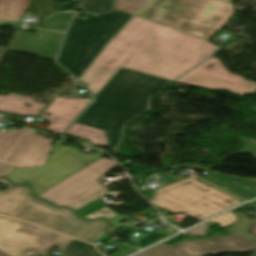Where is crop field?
<instances>
[{
    "instance_id": "crop-field-16",
    "label": "crop field",
    "mask_w": 256,
    "mask_h": 256,
    "mask_svg": "<svg viewBox=\"0 0 256 256\" xmlns=\"http://www.w3.org/2000/svg\"><path fill=\"white\" fill-rule=\"evenodd\" d=\"M27 103L30 107L25 106ZM44 104L34 102L32 98L9 93L7 97L0 96V111L19 116H27L28 114L37 116L44 108ZM37 110H40L37 112Z\"/></svg>"
},
{
    "instance_id": "crop-field-8",
    "label": "crop field",
    "mask_w": 256,
    "mask_h": 256,
    "mask_svg": "<svg viewBox=\"0 0 256 256\" xmlns=\"http://www.w3.org/2000/svg\"><path fill=\"white\" fill-rule=\"evenodd\" d=\"M115 165L117 164L111 160L100 158L37 197L55 205L66 204L76 210L107 193L96 180Z\"/></svg>"
},
{
    "instance_id": "crop-field-18",
    "label": "crop field",
    "mask_w": 256,
    "mask_h": 256,
    "mask_svg": "<svg viewBox=\"0 0 256 256\" xmlns=\"http://www.w3.org/2000/svg\"><path fill=\"white\" fill-rule=\"evenodd\" d=\"M66 134L88 139L92 144L107 146L104 131L74 123Z\"/></svg>"
},
{
    "instance_id": "crop-field-28",
    "label": "crop field",
    "mask_w": 256,
    "mask_h": 256,
    "mask_svg": "<svg viewBox=\"0 0 256 256\" xmlns=\"http://www.w3.org/2000/svg\"><path fill=\"white\" fill-rule=\"evenodd\" d=\"M15 167H11L5 164L0 163V176H5L8 174L10 171H12Z\"/></svg>"
},
{
    "instance_id": "crop-field-14",
    "label": "crop field",
    "mask_w": 256,
    "mask_h": 256,
    "mask_svg": "<svg viewBox=\"0 0 256 256\" xmlns=\"http://www.w3.org/2000/svg\"><path fill=\"white\" fill-rule=\"evenodd\" d=\"M90 100L56 96L40 116L51 122L46 130L61 134ZM46 113H50V115H46ZM54 117L59 118L54 119Z\"/></svg>"
},
{
    "instance_id": "crop-field-17",
    "label": "crop field",
    "mask_w": 256,
    "mask_h": 256,
    "mask_svg": "<svg viewBox=\"0 0 256 256\" xmlns=\"http://www.w3.org/2000/svg\"><path fill=\"white\" fill-rule=\"evenodd\" d=\"M31 0H0V22L20 20Z\"/></svg>"
},
{
    "instance_id": "crop-field-31",
    "label": "crop field",
    "mask_w": 256,
    "mask_h": 256,
    "mask_svg": "<svg viewBox=\"0 0 256 256\" xmlns=\"http://www.w3.org/2000/svg\"><path fill=\"white\" fill-rule=\"evenodd\" d=\"M252 94H256V90H255ZM250 111H252V112L256 113V107H255V108H253V109H251Z\"/></svg>"
},
{
    "instance_id": "crop-field-20",
    "label": "crop field",
    "mask_w": 256,
    "mask_h": 256,
    "mask_svg": "<svg viewBox=\"0 0 256 256\" xmlns=\"http://www.w3.org/2000/svg\"><path fill=\"white\" fill-rule=\"evenodd\" d=\"M63 256H102L93 245L73 239L60 250Z\"/></svg>"
},
{
    "instance_id": "crop-field-4",
    "label": "crop field",
    "mask_w": 256,
    "mask_h": 256,
    "mask_svg": "<svg viewBox=\"0 0 256 256\" xmlns=\"http://www.w3.org/2000/svg\"><path fill=\"white\" fill-rule=\"evenodd\" d=\"M233 14L232 4L217 0H150L138 16L209 40Z\"/></svg>"
},
{
    "instance_id": "crop-field-30",
    "label": "crop field",
    "mask_w": 256,
    "mask_h": 256,
    "mask_svg": "<svg viewBox=\"0 0 256 256\" xmlns=\"http://www.w3.org/2000/svg\"><path fill=\"white\" fill-rule=\"evenodd\" d=\"M0 256H12V255H10L8 253H5V252L0 250Z\"/></svg>"
},
{
    "instance_id": "crop-field-26",
    "label": "crop field",
    "mask_w": 256,
    "mask_h": 256,
    "mask_svg": "<svg viewBox=\"0 0 256 256\" xmlns=\"http://www.w3.org/2000/svg\"><path fill=\"white\" fill-rule=\"evenodd\" d=\"M236 220H237L236 215L231 212H228V213H225L219 217H216L208 222H217L222 227H226V226L232 224L233 222H235ZM208 222H206V223H208Z\"/></svg>"
},
{
    "instance_id": "crop-field-24",
    "label": "crop field",
    "mask_w": 256,
    "mask_h": 256,
    "mask_svg": "<svg viewBox=\"0 0 256 256\" xmlns=\"http://www.w3.org/2000/svg\"><path fill=\"white\" fill-rule=\"evenodd\" d=\"M240 142L245 144L243 148H241L238 153H244V154H249L256 158V141L243 137L241 139H238Z\"/></svg>"
},
{
    "instance_id": "crop-field-3",
    "label": "crop field",
    "mask_w": 256,
    "mask_h": 256,
    "mask_svg": "<svg viewBox=\"0 0 256 256\" xmlns=\"http://www.w3.org/2000/svg\"><path fill=\"white\" fill-rule=\"evenodd\" d=\"M9 187L0 192V214L8 215L39 224L57 232L92 243L106 227L103 221L83 222L66 208L57 209L32 198L30 190L12 186L7 180L0 179Z\"/></svg>"
},
{
    "instance_id": "crop-field-11",
    "label": "crop field",
    "mask_w": 256,
    "mask_h": 256,
    "mask_svg": "<svg viewBox=\"0 0 256 256\" xmlns=\"http://www.w3.org/2000/svg\"><path fill=\"white\" fill-rule=\"evenodd\" d=\"M175 82L209 89H225L240 95L249 94L256 89V83L245 81L241 77L230 74L215 57Z\"/></svg>"
},
{
    "instance_id": "crop-field-25",
    "label": "crop field",
    "mask_w": 256,
    "mask_h": 256,
    "mask_svg": "<svg viewBox=\"0 0 256 256\" xmlns=\"http://www.w3.org/2000/svg\"><path fill=\"white\" fill-rule=\"evenodd\" d=\"M171 245L160 243L146 251H143L135 256H160L162 255Z\"/></svg>"
},
{
    "instance_id": "crop-field-29",
    "label": "crop field",
    "mask_w": 256,
    "mask_h": 256,
    "mask_svg": "<svg viewBox=\"0 0 256 256\" xmlns=\"http://www.w3.org/2000/svg\"><path fill=\"white\" fill-rule=\"evenodd\" d=\"M198 181H200L202 183H205V182H203L201 180H198ZM205 184H207V183H205ZM207 185H209V184H207ZM209 186H211V185H209ZM211 187H213V186H211ZM213 188H215V187H213ZM215 189H217V188H215ZM217 190H219V189H217ZM219 191H221V190H219ZM221 192H223V191H221ZM223 193H225V192H223ZM225 194H227V193H225ZM227 195H229V194H227ZM229 196H231V195H229ZM231 197H233V196H231ZM233 198H235V197H233ZM235 199H237V198H235ZM237 200H239V199H237ZM239 201H241V200H239ZM241 202H243V201H241Z\"/></svg>"
},
{
    "instance_id": "crop-field-15",
    "label": "crop field",
    "mask_w": 256,
    "mask_h": 256,
    "mask_svg": "<svg viewBox=\"0 0 256 256\" xmlns=\"http://www.w3.org/2000/svg\"><path fill=\"white\" fill-rule=\"evenodd\" d=\"M178 167L196 169L212 173L211 175L202 179L222 189H224V187H227L228 189L224 190L232 193L233 195L241 199L248 200L256 197V181H253L251 179H240L233 176H222L219 175L217 172H212L214 169L212 167L195 165L187 162L182 163ZM235 181L238 183H234Z\"/></svg>"
},
{
    "instance_id": "crop-field-32",
    "label": "crop field",
    "mask_w": 256,
    "mask_h": 256,
    "mask_svg": "<svg viewBox=\"0 0 256 256\" xmlns=\"http://www.w3.org/2000/svg\"><path fill=\"white\" fill-rule=\"evenodd\" d=\"M222 1L230 2V0H222ZM230 3H231V2H230Z\"/></svg>"
},
{
    "instance_id": "crop-field-27",
    "label": "crop field",
    "mask_w": 256,
    "mask_h": 256,
    "mask_svg": "<svg viewBox=\"0 0 256 256\" xmlns=\"http://www.w3.org/2000/svg\"><path fill=\"white\" fill-rule=\"evenodd\" d=\"M207 226H208V224L204 223V224L186 232V234H188L190 236L202 237V236L206 235Z\"/></svg>"
},
{
    "instance_id": "crop-field-7",
    "label": "crop field",
    "mask_w": 256,
    "mask_h": 256,
    "mask_svg": "<svg viewBox=\"0 0 256 256\" xmlns=\"http://www.w3.org/2000/svg\"><path fill=\"white\" fill-rule=\"evenodd\" d=\"M102 153L99 151L95 155H88L78 151V149L63 146L49 156L44 167L26 170L16 168L5 177L10 179L13 184L32 188V194L37 196L84 167L81 164L82 161L86 159L95 160Z\"/></svg>"
},
{
    "instance_id": "crop-field-13",
    "label": "crop field",
    "mask_w": 256,
    "mask_h": 256,
    "mask_svg": "<svg viewBox=\"0 0 256 256\" xmlns=\"http://www.w3.org/2000/svg\"><path fill=\"white\" fill-rule=\"evenodd\" d=\"M39 31V33L36 32L39 39L15 31L7 50L31 53L44 59H54L64 34L47 30Z\"/></svg>"
},
{
    "instance_id": "crop-field-21",
    "label": "crop field",
    "mask_w": 256,
    "mask_h": 256,
    "mask_svg": "<svg viewBox=\"0 0 256 256\" xmlns=\"http://www.w3.org/2000/svg\"><path fill=\"white\" fill-rule=\"evenodd\" d=\"M115 0H83L81 10L103 13L113 9Z\"/></svg>"
},
{
    "instance_id": "crop-field-5",
    "label": "crop field",
    "mask_w": 256,
    "mask_h": 256,
    "mask_svg": "<svg viewBox=\"0 0 256 256\" xmlns=\"http://www.w3.org/2000/svg\"><path fill=\"white\" fill-rule=\"evenodd\" d=\"M85 15L87 20L73 19L57 58L58 63L77 78L111 37L132 17L116 10L97 17Z\"/></svg>"
},
{
    "instance_id": "crop-field-9",
    "label": "crop field",
    "mask_w": 256,
    "mask_h": 256,
    "mask_svg": "<svg viewBox=\"0 0 256 256\" xmlns=\"http://www.w3.org/2000/svg\"><path fill=\"white\" fill-rule=\"evenodd\" d=\"M71 238L49 230L0 216V249L14 256L27 252L45 255L55 245L61 248Z\"/></svg>"
},
{
    "instance_id": "crop-field-6",
    "label": "crop field",
    "mask_w": 256,
    "mask_h": 256,
    "mask_svg": "<svg viewBox=\"0 0 256 256\" xmlns=\"http://www.w3.org/2000/svg\"><path fill=\"white\" fill-rule=\"evenodd\" d=\"M152 203L203 220L241 202L187 177L156 190Z\"/></svg>"
},
{
    "instance_id": "crop-field-22",
    "label": "crop field",
    "mask_w": 256,
    "mask_h": 256,
    "mask_svg": "<svg viewBox=\"0 0 256 256\" xmlns=\"http://www.w3.org/2000/svg\"><path fill=\"white\" fill-rule=\"evenodd\" d=\"M73 14L70 13H59L49 19H45L42 22L41 28L65 31L68 23L67 19H71Z\"/></svg>"
},
{
    "instance_id": "crop-field-23",
    "label": "crop field",
    "mask_w": 256,
    "mask_h": 256,
    "mask_svg": "<svg viewBox=\"0 0 256 256\" xmlns=\"http://www.w3.org/2000/svg\"><path fill=\"white\" fill-rule=\"evenodd\" d=\"M147 0H117L115 8L123 12L135 14Z\"/></svg>"
},
{
    "instance_id": "crop-field-10",
    "label": "crop field",
    "mask_w": 256,
    "mask_h": 256,
    "mask_svg": "<svg viewBox=\"0 0 256 256\" xmlns=\"http://www.w3.org/2000/svg\"><path fill=\"white\" fill-rule=\"evenodd\" d=\"M34 133L23 128L0 131V162L20 169L44 166L53 141Z\"/></svg>"
},
{
    "instance_id": "crop-field-19",
    "label": "crop field",
    "mask_w": 256,
    "mask_h": 256,
    "mask_svg": "<svg viewBox=\"0 0 256 256\" xmlns=\"http://www.w3.org/2000/svg\"><path fill=\"white\" fill-rule=\"evenodd\" d=\"M76 211L80 213L82 219L89 220H92L96 217H104L106 219H110L117 214L95 200Z\"/></svg>"
},
{
    "instance_id": "crop-field-12",
    "label": "crop field",
    "mask_w": 256,
    "mask_h": 256,
    "mask_svg": "<svg viewBox=\"0 0 256 256\" xmlns=\"http://www.w3.org/2000/svg\"><path fill=\"white\" fill-rule=\"evenodd\" d=\"M226 243H230L226 246ZM256 242L234 236L213 237L205 240L184 241L172 245L162 256H203L206 252H248L255 250Z\"/></svg>"
},
{
    "instance_id": "crop-field-1",
    "label": "crop field",
    "mask_w": 256,
    "mask_h": 256,
    "mask_svg": "<svg viewBox=\"0 0 256 256\" xmlns=\"http://www.w3.org/2000/svg\"><path fill=\"white\" fill-rule=\"evenodd\" d=\"M217 46L181 30L135 16L80 81L95 96L122 67L174 80L208 58Z\"/></svg>"
},
{
    "instance_id": "crop-field-2",
    "label": "crop field",
    "mask_w": 256,
    "mask_h": 256,
    "mask_svg": "<svg viewBox=\"0 0 256 256\" xmlns=\"http://www.w3.org/2000/svg\"><path fill=\"white\" fill-rule=\"evenodd\" d=\"M169 82L120 68L76 122L105 130L109 146H116L123 123L146 110L150 94Z\"/></svg>"
}]
</instances>
